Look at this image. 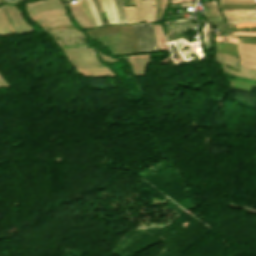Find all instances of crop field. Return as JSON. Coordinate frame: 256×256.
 <instances>
[{
	"mask_svg": "<svg viewBox=\"0 0 256 256\" xmlns=\"http://www.w3.org/2000/svg\"><path fill=\"white\" fill-rule=\"evenodd\" d=\"M133 26L139 44L140 52L145 53L157 51L151 25L143 24Z\"/></svg>",
	"mask_w": 256,
	"mask_h": 256,
	"instance_id": "obj_1",
	"label": "crop field"
},
{
	"mask_svg": "<svg viewBox=\"0 0 256 256\" xmlns=\"http://www.w3.org/2000/svg\"><path fill=\"white\" fill-rule=\"evenodd\" d=\"M109 23H119L112 0H101Z\"/></svg>",
	"mask_w": 256,
	"mask_h": 256,
	"instance_id": "obj_2",
	"label": "crop field"
},
{
	"mask_svg": "<svg viewBox=\"0 0 256 256\" xmlns=\"http://www.w3.org/2000/svg\"><path fill=\"white\" fill-rule=\"evenodd\" d=\"M149 13H153L151 1H147ZM145 13H148L146 1H143ZM146 21L153 20V14H145Z\"/></svg>",
	"mask_w": 256,
	"mask_h": 256,
	"instance_id": "obj_3",
	"label": "crop field"
},
{
	"mask_svg": "<svg viewBox=\"0 0 256 256\" xmlns=\"http://www.w3.org/2000/svg\"><path fill=\"white\" fill-rule=\"evenodd\" d=\"M231 1H255V0H231ZM231 1H221V3H232V4H255V2H231Z\"/></svg>",
	"mask_w": 256,
	"mask_h": 256,
	"instance_id": "obj_4",
	"label": "crop field"
},
{
	"mask_svg": "<svg viewBox=\"0 0 256 256\" xmlns=\"http://www.w3.org/2000/svg\"><path fill=\"white\" fill-rule=\"evenodd\" d=\"M217 25H218V29H226L225 22L217 23ZM244 31H256V30H236V31H227V32H244Z\"/></svg>",
	"mask_w": 256,
	"mask_h": 256,
	"instance_id": "obj_5",
	"label": "crop field"
},
{
	"mask_svg": "<svg viewBox=\"0 0 256 256\" xmlns=\"http://www.w3.org/2000/svg\"><path fill=\"white\" fill-rule=\"evenodd\" d=\"M246 26H256V23H239V24H235V27H246Z\"/></svg>",
	"mask_w": 256,
	"mask_h": 256,
	"instance_id": "obj_6",
	"label": "crop field"
},
{
	"mask_svg": "<svg viewBox=\"0 0 256 256\" xmlns=\"http://www.w3.org/2000/svg\"><path fill=\"white\" fill-rule=\"evenodd\" d=\"M235 6H253V5H235ZM234 7V6H231ZM231 7H220L221 9H247V8H231ZM248 8H256V7H248Z\"/></svg>",
	"mask_w": 256,
	"mask_h": 256,
	"instance_id": "obj_7",
	"label": "crop field"
},
{
	"mask_svg": "<svg viewBox=\"0 0 256 256\" xmlns=\"http://www.w3.org/2000/svg\"><path fill=\"white\" fill-rule=\"evenodd\" d=\"M84 1H85L86 5H87L89 11H90V14H91V16H92V19H93V22H94L95 26L98 27V25H97V23H96V21H95V18H94L93 14H92V11H91V9H90V7H89L87 1H86V0H84Z\"/></svg>",
	"mask_w": 256,
	"mask_h": 256,
	"instance_id": "obj_8",
	"label": "crop field"
},
{
	"mask_svg": "<svg viewBox=\"0 0 256 256\" xmlns=\"http://www.w3.org/2000/svg\"><path fill=\"white\" fill-rule=\"evenodd\" d=\"M91 3H92V6H93V8H94V11H96V10H95V7H94V4H93V2H92V0H91ZM95 14H96V16H97V18H98V21H99L100 25L102 26L101 21H100V19H99L98 15H97V13H95Z\"/></svg>",
	"mask_w": 256,
	"mask_h": 256,
	"instance_id": "obj_9",
	"label": "crop field"
}]
</instances>
